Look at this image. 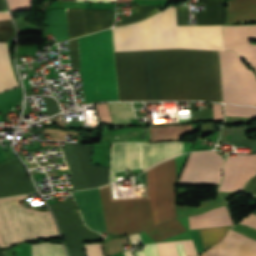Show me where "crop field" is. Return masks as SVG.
<instances>
[{
  "label": "crop field",
  "mask_w": 256,
  "mask_h": 256,
  "mask_svg": "<svg viewBox=\"0 0 256 256\" xmlns=\"http://www.w3.org/2000/svg\"><path fill=\"white\" fill-rule=\"evenodd\" d=\"M120 101H216L212 51L115 53Z\"/></svg>",
  "instance_id": "1"
},
{
  "label": "crop field",
  "mask_w": 256,
  "mask_h": 256,
  "mask_svg": "<svg viewBox=\"0 0 256 256\" xmlns=\"http://www.w3.org/2000/svg\"><path fill=\"white\" fill-rule=\"evenodd\" d=\"M176 180L173 158L147 171L148 198L112 199L109 184L100 187L107 232L135 233L176 218Z\"/></svg>",
  "instance_id": "2"
},
{
  "label": "crop field",
  "mask_w": 256,
  "mask_h": 256,
  "mask_svg": "<svg viewBox=\"0 0 256 256\" xmlns=\"http://www.w3.org/2000/svg\"><path fill=\"white\" fill-rule=\"evenodd\" d=\"M115 51L192 48L223 50L221 26H176L175 7L138 24L113 28Z\"/></svg>",
  "instance_id": "3"
},
{
  "label": "crop field",
  "mask_w": 256,
  "mask_h": 256,
  "mask_svg": "<svg viewBox=\"0 0 256 256\" xmlns=\"http://www.w3.org/2000/svg\"><path fill=\"white\" fill-rule=\"evenodd\" d=\"M78 43L85 103L118 100L111 30L79 38Z\"/></svg>",
  "instance_id": "4"
},
{
  "label": "crop field",
  "mask_w": 256,
  "mask_h": 256,
  "mask_svg": "<svg viewBox=\"0 0 256 256\" xmlns=\"http://www.w3.org/2000/svg\"><path fill=\"white\" fill-rule=\"evenodd\" d=\"M27 197L0 200V248L30 238L58 236L50 211L26 209L18 203Z\"/></svg>",
  "instance_id": "5"
},
{
  "label": "crop field",
  "mask_w": 256,
  "mask_h": 256,
  "mask_svg": "<svg viewBox=\"0 0 256 256\" xmlns=\"http://www.w3.org/2000/svg\"><path fill=\"white\" fill-rule=\"evenodd\" d=\"M183 143H112L110 182L114 172L141 167V170L181 154Z\"/></svg>",
  "instance_id": "6"
},
{
  "label": "crop field",
  "mask_w": 256,
  "mask_h": 256,
  "mask_svg": "<svg viewBox=\"0 0 256 256\" xmlns=\"http://www.w3.org/2000/svg\"><path fill=\"white\" fill-rule=\"evenodd\" d=\"M224 102L256 106V76L233 52H220Z\"/></svg>",
  "instance_id": "7"
},
{
  "label": "crop field",
  "mask_w": 256,
  "mask_h": 256,
  "mask_svg": "<svg viewBox=\"0 0 256 256\" xmlns=\"http://www.w3.org/2000/svg\"><path fill=\"white\" fill-rule=\"evenodd\" d=\"M49 206L66 240L70 256H85L82 242L100 240L99 234L83 225L72 199Z\"/></svg>",
  "instance_id": "8"
},
{
  "label": "crop field",
  "mask_w": 256,
  "mask_h": 256,
  "mask_svg": "<svg viewBox=\"0 0 256 256\" xmlns=\"http://www.w3.org/2000/svg\"><path fill=\"white\" fill-rule=\"evenodd\" d=\"M223 158L216 151L192 153L180 183H220Z\"/></svg>",
  "instance_id": "9"
},
{
  "label": "crop field",
  "mask_w": 256,
  "mask_h": 256,
  "mask_svg": "<svg viewBox=\"0 0 256 256\" xmlns=\"http://www.w3.org/2000/svg\"><path fill=\"white\" fill-rule=\"evenodd\" d=\"M36 192L16 157L0 163V198Z\"/></svg>",
  "instance_id": "10"
},
{
  "label": "crop field",
  "mask_w": 256,
  "mask_h": 256,
  "mask_svg": "<svg viewBox=\"0 0 256 256\" xmlns=\"http://www.w3.org/2000/svg\"><path fill=\"white\" fill-rule=\"evenodd\" d=\"M225 50H233L256 70V45L248 38H256V25L223 26Z\"/></svg>",
  "instance_id": "11"
},
{
  "label": "crop field",
  "mask_w": 256,
  "mask_h": 256,
  "mask_svg": "<svg viewBox=\"0 0 256 256\" xmlns=\"http://www.w3.org/2000/svg\"><path fill=\"white\" fill-rule=\"evenodd\" d=\"M256 174V155L228 157L224 168V182L220 191L241 190L247 180Z\"/></svg>",
  "instance_id": "12"
},
{
  "label": "crop field",
  "mask_w": 256,
  "mask_h": 256,
  "mask_svg": "<svg viewBox=\"0 0 256 256\" xmlns=\"http://www.w3.org/2000/svg\"><path fill=\"white\" fill-rule=\"evenodd\" d=\"M71 193L85 224L93 230L106 233L98 188Z\"/></svg>",
  "instance_id": "13"
},
{
  "label": "crop field",
  "mask_w": 256,
  "mask_h": 256,
  "mask_svg": "<svg viewBox=\"0 0 256 256\" xmlns=\"http://www.w3.org/2000/svg\"><path fill=\"white\" fill-rule=\"evenodd\" d=\"M201 256H256V241L230 230L221 243Z\"/></svg>",
  "instance_id": "14"
},
{
  "label": "crop field",
  "mask_w": 256,
  "mask_h": 256,
  "mask_svg": "<svg viewBox=\"0 0 256 256\" xmlns=\"http://www.w3.org/2000/svg\"><path fill=\"white\" fill-rule=\"evenodd\" d=\"M91 188L109 183L110 168L93 165L90 162L91 147L73 143Z\"/></svg>",
  "instance_id": "15"
},
{
  "label": "crop field",
  "mask_w": 256,
  "mask_h": 256,
  "mask_svg": "<svg viewBox=\"0 0 256 256\" xmlns=\"http://www.w3.org/2000/svg\"><path fill=\"white\" fill-rule=\"evenodd\" d=\"M256 21V0H228L226 22Z\"/></svg>",
  "instance_id": "16"
},
{
  "label": "crop field",
  "mask_w": 256,
  "mask_h": 256,
  "mask_svg": "<svg viewBox=\"0 0 256 256\" xmlns=\"http://www.w3.org/2000/svg\"><path fill=\"white\" fill-rule=\"evenodd\" d=\"M204 3L206 14L196 15L198 25L225 24L226 8L224 0H198Z\"/></svg>",
  "instance_id": "17"
},
{
  "label": "crop field",
  "mask_w": 256,
  "mask_h": 256,
  "mask_svg": "<svg viewBox=\"0 0 256 256\" xmlns=\"http://www.w3.org/2000/svg\"><path fill=\"white\" fill-rule=\"evenodd\" d=\"M190 229L230 225L225 207L209 211L199 216L189 217Z\"/></svg>",
  "instance_id": "18"
},
{
  "label": "crop field",
  "mask_w": 256,
  "mask_h": 256,
  "mask_svg": "<svg viewBox=\"0 0 256 256\" xmlns=\"http://www.w3.org/2000/svg\"><path fill=\"white\" fill-rule=\"evenodd\" d=\"M67 146L68 148L62 150L77 190L90 188L72 144Z\"/></svg>",
  "instance_id": "19"
},
{
  "label": "crop field",
  "mask_w": 256,
  "mask_h": 256,
  "mask_svg": "<svg viewBox=\"0 0 256 256\" xmlns=\"http://www.w3.org/2000/svg\"><path fill=\"white\" fill-rule=\"evenodd\" d=\"M87 34L113 24L110 10L85 9Z\"/></svg>",
  "instance_id": "20"
},
{
  "label": "crop field",
  "mask_w": 256,
  "mask_h": 256,
  "mask_svg": "<svg viewBox=\"0 0 256 256\" xmlns=\"http://www.w3.org/2000/svg\"><path fill=\"white\" fill-rule=\"evenodd\" d=\"M8 51L6 42H0V93L7 89L17 87L8 62ZM19 86V85H18Z\"/></svg>",
  "instance_id": "21"
},
{
  "label": "crop field",
  "mask_w": 256,
  "mask_h": 256,
  "mask_svg": "<svg viewBox=\"0 0 256 256\" xmlns=\"http://www.w3.org/2000/svg\"><path fill=\"white\" fill-rule=\"evenodd\" d=\"M68 39L85 35L84 9H66Z\"/></svg>",
  "instance_id": "22"
},
{
  "label": "crop field",
  "mask_w": 256,
  "mask_h": 256,
  "mask_svg": "<svg viewBox=\"0 0 256 256\" xmlns=\"http://www.w3.org/2000/svg\"><path fill=\"white\" fill-rule=\"evenodd\" d=\"M156 242L185 231L177 219L145 230Z\"/></svg>",
  "instance_id": "23"
},
{
  "label": "crop field",
  "mask_w": 256,
  "mask_h": 256,
  "mask_svg": "<svg viewBox=\"0 0 256 256\" xmlns=\"http://www.w3.org/2000/svg\"><path fill=\"white\" fill-rule=\"evenodd\" d=\"M115 125L131 124L130 118H135L130 103H108Z\"/></svg>",
  "instance_id": "24"
},
{
  "label": "crop field",
  "mask_w": 256,
  "mask_h": 256,
  "mask_svg": "<svg viewBox=\"0 0 256 256\" xmlns=\"http://www.w3.org/2000/svg\"><path fill=\"white\" fill-rule=\"evenodd\" d=\"M232 226L198 230L204 249L218 243Z\"/></svg>",
  "instance_id": "25"
},
{
  "label": "crop field",
  "mask_w": 256,
  "mask_h": 256,
  "mask_svg": "<svg viewBox=\"0 0 256 256\" xmlns=\"http://www.w3.org/2000/svg\"><path fill=\"white\" fill-rule=\"evenodd\" d=\"M33 256H66L62 244L39 243L32 245Z\"/></svg>",
  "instance_id": "26"
},
{
  "label": "crop field",
  "mask_w": 256,
  "mask_h": 256,
  "mask_svg": "<svg viewBox=\"0 0 256 256\" xmlns=\"http://www.w3.org/2000/svg\"><path fill=\"white\" fill-rule=\"evenodd\" d=\"M178 242H183L187 256H194L197 254L192 240ZM178 242L157 243L160 256H178L174 246V243Z\"/></svg>",
  "instance_id": "27"
},
{
  "label": "crop field",
  "mask_w": 256,
  "mask_h": 256,
  "mask_svg": "<svg viewBox=\"0 0 256 256\" xmlns=\"http://www.w3.org/2000/svg\"><path fill=\"white\" fill-rule=\"evenodd\" d=\"M159 8L160 6L136 8L137 14L129 17H124V22H116L115 26L126 25L148 18L160 12Z\"/></svg>",
  "instance_id": "28"
},
{
  "label": "crop field",
  "mask_w": 256,
  "mask_h": 256,
  "mask_svg": "<svg viewBox=\"0 0 256 256\" xmlns=\"http://www.w3.org/2000/svg\"><path fill=\"white\" fill-rule=\"evenodd\" d=\"M225 110L226 113L235 114L237 116L256 118V108L253 107L225 105Z\"/></svg>",
  "instance_id": "29"
},
{
  "label": "crop field",
  "mask_w": 256,
  "mask_h": 256,
  "mask_svg": "<svg viewBox=\"0 0 256 256\" xmlns=\"http://www.w3.org/2000/svg\"><path fill=\"white\" fill-rule=\"evenodd\" d=\"M32 0H7L10 10L22 11L30 8ZM76 1H100V2H115V0H76Z\"/></svg>",
  "instance_id": "30"
},
{
  "label": "crop field",
  "mask_w": 256,
  "mask_h": 256,
  "mask_svg": "<svg viewBox=\"0 0 256 256\" xmlns=\"http://www.w3.org/2000/svg\"><path fill=\"white\" fill-rule=\"evenodd\" d=\"M72 70L80 68L77 39L68 41Z\"/></svg>",
  "instance_id": "31"
},
{
  "label": "crop field",
  "mask_w": 256,
  "mask_h": 256,
  "mask_svg": "<svg viewBox=\"0 0 256 256\" xmlns=\"http://www.w3.org/2000/svg\"><path fill=\"white\" fill-rule=\"evenodd\" d=\"M217 101L222 102L218 52L213 51Z\"/></svg>",
  "instance_id": "32"
},
{
  "label": "crop field",
  "mask_w": 256,
  "mask_h": 256,
  "mask_svg": "<svg viewBox=\"0 0 256 256\" xmlns=\"http://www.w3.org/2000/svg\"><path fill=\"white\" fill-rule=\"evenodd\" d=\"M96 108L100 118V122L112 121L107 103L98 104L96 105Z\"/></svg>",
  "instance_id": "33"
},
{
  "label": "crop field",
  "mask_w": 256,
  "mask_h": 256,
  "mask_svg": "<svg viewBox=\"0 0 256 256\" xmlns=\"http://www.w3.org/2000/svg\"><path fill=\"white\" fill-rule=\"evenodd\" d=\"M137 256H159L156 243L147 244L143 251L135 252Z\"/></svg>",
  "instance_id": "34"
},
{
  "label": "crop field",
  "mask_w": 256,
  "mask_h": 256,
  "mask_svg": "<svg viewBox=\"0 0 256 256\" xmlns=\"http://www.w3.org/2000/svg\"><path fill=\"white\" fill-rule=\"evenodd\" d=\"M187 13H188L187 7H182V6L176 7L177 25H188Z\"/></svg>",
  "instance_id": "35"
},
{
  "label": "crop field",
  "mask_w": 256,
  "mask_h": 256,
  "mask_svg": "<svg viewBox=\"0 0 256 256\" xmlns=\"http://www.w3.org/2000/svg\"><path fill=\"white\" fill-rule=\"evenodd\" d=\"M42 99H43L50 115L60 111L58 103L53 98L42 97Z\"/></svg>",
  "instance_id": "36"
},
{
  "label": "crop field",
  "mask_w": 256,
  "mask_h": 256,
  "mask_svg": "<svg viewBox=\"0 0 256 256\" xmlns=\"http://www.w3.org/2000/svg\"><path fill=\"white\" fill-rule=\"evenodd\" d=\"M87 256H103L100 243L85 245Z\"/></svg>",
  "instance_id": "37"
},
{
  "label": "crop field",
  "mask_w": 256,
  "mask_h": 256,
  "mask_svg": "<svg viewBox=\"0 0 256 256\" xmlns=\"http://www.w3.org/2000/svg\"><path fill=\"white\" fill-rule=\"evenodd\" d=\"M240 224H244L256 229V215H253V214L249 215L248 217L243 219L240 222Z\"/></svg>",
  "instance_id": "38"
},
{
  "label": "crop field",
  "mask_w": 256,
  "mask_h": 256,
  "mask_svg": "<svg viewBox=\"0 0 256 256\" xmlns=\"http://www.w3.org/2000/svg\"><path fill=\"white\" fill-rule=\"evenodd\" d=\"M212 105H213L214 119L223 118L222 111H221V104H212Z\"/></svg>",
  "instance_id": "39"
},
{
  "label": "crop field",
  "mask_w": 256,
  "mask_h": 256,
  "mask_svg": "<svg viewBox=\"0 0 256 256\" xmlns=\"http://www.w3.org/2000/svg\"><path fill=\"white\" fill-rule=\"evenodd\" d=\"M246 192L256 195V177L254 178L252 183L249 185Z\"/></svg>",
  "instance_id": "40"
},
{
  "label": "crop field",
  "mask_w": 256,
  "mask_h": 256,
  "mask_svg": "<svg viewBox=\"0 0 256 256\" xmlns=\"http://www.w3.org/2000/svg\"><path fill=\"white\" fill-rule=\"evenodd\" d=\"M129 236H130L132 244L142 243L139 234H131Z\"/></svg>",
  "instance_id": "41"
},
{
  "label": "crop field",
  "mask_w": 256,
  "mask_h": 256,
  "mask_svg": "<svg viewBox=\"0 0 256 256\" xmlns=\"http://www.w3.org/2000/svg\"><path fill=\"white\" fill-rule=\"evenodd\" d=\"M175 245H176V247H177L179 256H186V255H185L184 248H183V244H182V243H179V244H175Z\"/></svg>",
  "instance_id": "42"
},
{
  "label": "crop field",
  "mask_w": 256,
  "mask_h": 256,
  "mask_svg": "<svg viewBox=\"0 0 256 256\" xmlns=\"http://www.w3.org/2000/svg\"><path fill=\"white\" fill-rule=\"evenodd\" d=\"M2 18H10L8 13H0V19Z\"/></svg>",
  "instance_id": "43"
},
{
  "label": "crop field",
  "mask_w": 256,
  "mask_h": 256,
  "mask_svg": "<svg viewBox=\"0 0 256 256\" xmlns=\"http://www.w3.org/2000/svg\"><path fill=\"white\" fill-rule=\"evenodd\" d=\"M124 253H125L126 256H133L130 250L124 251Z\"/></svg>",
  "instance_id": "44"
},
{
  "label": "crop field",
  "mask_w": 256,
  "mask_h": 256,
  "mask_svg": "<svg viewBox=\"0 0 256 256\" xmlns=\"http://www.w3.org/2000/svg\"><path fill=\"white\" fill-rule=\"evenodd\" d=\"M0 256H5L4 251H0Z\"/></svg>",
  "instance_id": "45"
},
{
  "label": "crop field",
  "mask_w": 256,
  "mask_h": 256,
  "mask_svg": "<svg viewBox=\"0 0 256 256\" xmlns=\"http://www.w3.org/2000/svg\"><path fill=\"white\" fill-rule=\"evenodd\" d=\"M256 127V126H255Z\"/></svg>",
  "instance_id": "46"
}]
</instances>
